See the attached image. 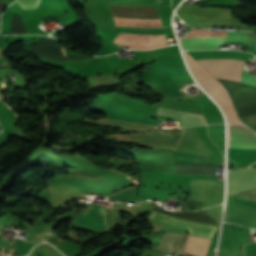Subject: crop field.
Here are the masks:
<instances>
[{
	"label": "crop field",
	"instance_id": "crop-field-11",
	"mask_svg": "<svg viewBox=\"0 0 256 256\" xmlns=\"http://www.w3.org/2000/svg\"><path fill=\"white\" fill-rule=\"evenodd\" d=\"M223 44H240L256 48V37L249 36L245 33L228 32ZM254 52H256V49Z\"/></svg>",
	"mask_w": 256,
	"mask_h": 256
},
{
	"label": "crop field",
	"instance_id": "crop-field-7",
	"mask_svg": "<svg viewBox=\"0 0 256 256\" xmlns=\"http://www.w3.org/2000/svg\"><path fill=\"white\" fill-rule=\"evenodd\" d=\"M105 211L106 208L91 204L89 212L87 214H79L75 220L81 225L106 232L108 226L105 219Z\"/></svg>",
	"mask_w": 256,
	"mask_h": 256
},
{
	"label": "crop field",
	"instance_id": "crop-field-2",
	"mask_svg": "<svg viewBox=\"0 0 256 256\" xmlns=\"http://www.w3.org/2000/svg\"><path fill=\"white\" fill-rule=\"evenodd\" d=\"M215 78L241 82L244 61L235 59L197 60Z\"/></svg>",
	"mask_w": 256,
	"mask_h": 256
},
{
	"label": "crop field",
	"instance_id": "crop-field-5",
	"mask_svg": "<svg viewBox=\"0 0 256 256\" xmlns=\"http://www.w3.org/2000/svg\"><path fill=\"white\" fill-rule=\"evenodd\" d=\"M203 87L207 89L220 104L227 117L228 123L244 124L237 118L227 92L216 80L203 84Z\"/></svg>",
	"mask_w": 256,
	"mask_h": 256
},
{
	"label": "crop field",
	"instance_id": "crop-field-1",
	"mask_svg": "<svg viewBox=\"0 0 256 256\" xmlns=\"http://www.w3.org/2000/svg\"><path fill=\"white\" fill-rule=\"evenodd\" d=\"M186 236V234L165 232L156 250L162 254H181ZM210 241L209 239L188 235L182 254L206 256Z\"/></svg>",
	"mask_w": 256,
	"mask_h": 256
},
{
	"label": "crop field",
	"instance_id": "crop-field-8",
	"mask_svg": "<svg viewBox=\"0 0 256 256\" xmlns=\"http://www.w3.org/2000/svg\"><path fill=\"white\" fill-rule=\"evenodd\" d=\"M109 6L113 16L160 18L156 7Z\"/></svg>",
	"mask_w": 256,
	"mask_h": 256
},
{
	"label": "crop field",
	"instance_id": "crop-field-10",
	"mask_svg": "<svg viewBox=\"0 0 256 256\" xmlns=\"http://www.w3.org/2000/svg\"><path fill=\"white\" fill-rule=\"evenodd\" d=\"M158 114L182 118L183 126L207 124L203 115L160 108Z\"/></svg>",
	"mask_w": 256,
	"mask_h": 256
},
{
	"label": "crop field",
	"instance_id": "crop-field-17",
	"mask_svg": "<svg viewBox=\"0 0 256 256\" xmlns=\"http://www.w3.org/2000/svg\"><path fill=\"white\" fill-rule=\"evenodd\" d=\"M136 201H137V198H136Z\"/></svg>",
	"mask_w": 256,
	"mask_h": 256
},
{
	"label": "crop field",
	"instance_id": "crop-field-12",
	"mask_svg": "<svg viewBox=\"0 0 256 256\" xmlns=\"http://www.w3.org/2000/svg\"><path fill=\"white\" fill-rule=\"evenodd\" d=\"M175 162H185V163H205V164H215L212 161L204 160L199 156L188 154V153H179L173 151Z\"/></svg>",
	"mask_w": 256,
	"mask_h": 256
},
{
	"label": "crop field",
	"instance_id": "crop-field-16",
	"mask_svg": "<svg viewBox=\"0 0 256 256\" xmlns=\"http://www.w3.org/2000/svg\"><path fill=\"white\" fill-rule=\"evenodd\" d=\"M63 52H64V56H66L64 49H63Z\"/></svg>",
	"mask_w": 256,
	"mask_h": 256
},
{
	"label": "crop field",
	"instance_id": "crop-field-15",
	"mask_svg": "<svg viewBox=\"0 0 256 256\" xmlns=\"http://www.w3.org/2000/svg\"><path fill=\"white\" fill-rule=\"evenodd\" d=\"M10 220L12 219L7 215L0 217V231L6 227Z\"/></svg>",
	"mask_w": 256,
	"mask_h": 256
},
{
	"label": "crop field",
	"instance_id": "crop-field-4",
	"mask_svg": "<svg viewBox=\"0 0 256 256\" xmlns=\"http://www.w3.org/2000/svg\"><path fill=\"white\" fill-rule=\"evenodd\" d=\"M149 218L153 219V220L167 222V223L179 226V227L187 228L190 234L209 238V239H212V237L217 229L215 227H211V226L198 224V223L182 220L179 218L167 216V215L155 212L153 210H152Z\"/></svg>",
	"mask_w": 256,
	"mask_h": 256
},
{
	"label": "crop field",
	"instance_id": "crop-field-3",
	"mask_svg": "<svg viewBox=\"0 0 256 256\" xmlns=\"http://www.w3.org/2000/svg\"><path fill=\"white\" fill-rule=\"evenodd\" d=\"M256 189V169H242L228 172V194L233 195Z\"/></svg>",
	"mask_w": 256,
	"mask_h": 256
},
{
	"label": "crop field",
	"instance_id": "crop-field-13",
	"mask_svg": "<svg viewBox=\"0 0 256 256\" xmlns=\"http://www.w3.org/2000/svg\"><path fill=\"white\" fill-rule=\"evenodd\" d=\"M17 2L24 9H37L41 0H17Z\"/></svg>",
	"mask_w": 256,
	"mask_h": 256
},
{
	"label": "crop field",
	"instance_id": "crop-field-14",
	"mask_svg": "<svg viewBox=\"0 0 256 256\" xmlns=\"http://www.w3.org/2000/svg\"><path fill=\"white\" fill-rule=\"evenodd\" d=\"M242 82L256 86V76L248 75L247 71H244Z\"/></svg>",
	"mask_w": 256,
	"mask_h": 256
},
{
	"label": "crop field",
	"instance_id": "crop-field-9",
	"mask_svg": "<svg viewBox=\"0 0 256 256\" xmlns=\"http://www.w3.org/2000/svg\"><path fill=\"white\" fill-rule=\"evenodd\" d=\"M225 36L179 38L183 50L217 49Z\"/></svg>",
	"mask_w": 256,
	"mask_h": 256
},
{
	"label": "crop field",
	"instance_id": "crop-field-6",
	"mask_svg": "<svg viewBox=\"0 0 256 256\" xmlns=\"http://www.w3.org/2000/svg\"><path fill=\"white\" fill-rule=\"evenodd\" d=\"M228 147L256 148V133L245 126L228 125Z\"/></svg>",
	"mask_w": 256,
	"mask_h": 256
}]
</instances>
